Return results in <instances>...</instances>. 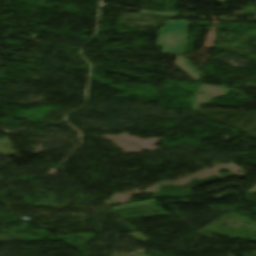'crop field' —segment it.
<instances>
[{"mask_svg": "<svg viewBox=\"0 0 256 256\" xmlns=\"http://www.w3.org/2000/svg\"><path fill=\"white\" fill-rule=\"evenodd\" d=\"M188 23H166L160 29L157 46L162 47L161 54H183Z\"/></svg>", "mask_w": 256, "mask_h": 256, "instance_id": "obj_1", "label": "crop field"}, {"mask_svg": "<svg viewBox=\"0 0 256 256\" xmlns=\"http://www.w3.org/2000/svg\"><path fill=\"white\" fill-rule=\"evenodd\" d=\"M220 3H222V4H223V3H224V0H221V1H220Z\"/></svg>", "mask_w": 256, "mask_h": 256, "instance_id": "obj_2", "label": "crop field"}]
</instances>
